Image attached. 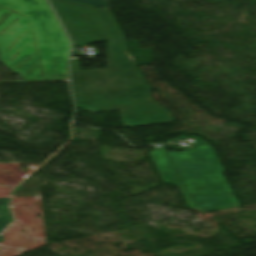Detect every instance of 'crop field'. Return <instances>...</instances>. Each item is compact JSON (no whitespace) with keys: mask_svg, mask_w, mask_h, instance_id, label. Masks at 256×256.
Segmentation results:
<instances>
[{"mask_svg":"<svg viewBox=\"0 0 256 256\" xmlns=\"http://www.w3.org/2000/svg\"><path fill=\"white\" fill-rule=\"evenodd\" d=\"M168 154L189 194H232L211 145L195 144L184 152Z\"/></svg>","mask_w":256,"mask_h":256,"instance_id":"obj_3","label":"crop field"},{"mask_svg":"<svg viewBox=\"0 0 256 256\" xmlns=\"http://www.w3.org/2000/svg\"><path fill=\"white\" fill-rule=\"evenodd\" d=\"M0 7L28 18L45 80L66 79L69 43L46 0H0Z\"/></svg>","mask_w":256,"mask_h":256,"instance_id":"obj_2","label":"crop field"},{"mask_svg":"<svg viewBox=\"0 0 256 256\" xmlns=\"http://www.w3.org/2000/svg\"><path fill=\"white\" fill-rule=\"evenodd\" d=\"M102 1H106V2H108V0H102Z\"/></svg>","mask_w":256,"mask_h":256,"instance_id":"obj_9","label":"crop field"},{"mask_svg":"<svg viewBox=\"0 0 256 256\" xmlns=\"http://www.w3.org/2000/svg\"><path fill=\"white\" fill-rule=\"evenodd\" d=\"M165 183L179 185L189 208L201 212L239 206L234 195H189L164 148L149 152Z\"/></svg>","mask_w":256,"mask_h":256,"instance_id":"obj_5","label":"crop field"},{"mask_svg":"<svg viewBox=\"0 0 256 256\" xmlns=\"http://www.w3.org/2000/svg\"><path fill=\"white\" fill-rule=\"evenodd\" d=\"M69 1H74V2H78V3H83V4H88V5H92V6H97V7L108 9V3L102 2V1H98V0H69Z\"/></svg>","mask_w":256,"mask_h":256,"instance_id":"obj_7","label":"crop field"},{"mask_svg":"<svg viewBox=\"0 0 256 256\" xmlns=\"http://www.w3.org/2000/svg\"><path fill=\"white\" fill-rule=\"evenodd\" d=\"M8 204L9 198L0 199V232L13 221L7 207Z\"/></svg>","mask_w":256,"mask_h":256,"instance_id":"obj_6","label":"crop field"},{"mask_svg":"<svg viewBox=\"0 0 256 256\" xmlns=\"http://www.w3.org/2000/svg\"><path fill=\"white\" fill-rule=\"evenodd\" d=\"M50 1L74 45L109 40L108 69L71 72L78 107L91 112L119 110L123 126L173 122V116L150 99L149 85L126 51L110 11Z\"/></svg>","mask_w":256,"mask_h":256,"instance_id":"obj_1","label":"crop field"},{"mask_svg":"<svg viewBox=\"0 0 256 256\" xmlns=\"http://www.w3.org/2000/svg\"><path fill=\"white\" fill-rule=\"evenodd\" d=\"M18 23L21 28H17ZM10 29L13 30L12 35H8ZM0 60L15 72H21L24 80H27L26 78L44 80L27 18L2 8H0ZM36 62L38 64H35Z\"/></svg>","mask_w":256,"mask_h":256,"instance_id":"obj_4","label":"crop field"},{"mask_svg":"<svg viewBox=\"0 0 256 256\" xmlns=\"http://www.w3.org/2000/svg\"><path fill=\"white\" fill-rule=\"evenodd\" d=\"M3 241V237H2V234L0 235V242Z\"/></svg>","mask_w":256,"mask_h":256,"instance_id":"obj_8","label":"crop field"}]
</instances>
